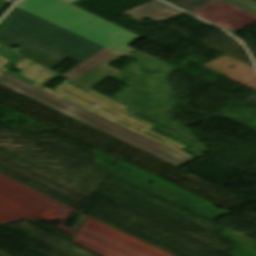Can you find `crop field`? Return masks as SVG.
<instances>
[{"label": "crop field", "mask_w": 256, "mask_h": 256, "mask_svg": "<svg viewBox=\"0 0 256 256\" xmlns=\"http://www.w3.org/2000/svg\"><path fill=\"white\" fill-rule=\"evenodd\" d=\"M9 14L12 17L0 36L58 63L68 57L82 63L64 77L92 89L119 72L107 65L120 55L17 7Z\"/></svg>", "instance_id": "8a807250"}, {"label": "crop field", "mask_w": 256, "mask_h": 256, "mask_svg": "<svg viewBox=\"0 0 256 256\" xmlns=\"http://www.w3.org/2000/svg\"><path fill=\"white\" fill-rule=\"evenodd\" d=\"M25 11L94 41L122 56L135 50L128 46L139 36L63 0H26Z\"/></svg>", "instance_id": "ac0d7876"}, {"label": "crop field", "mask_w": 256, "mask_h": 256, "mask_svg": "<svg viewBox=\"0 0 256 256\" xmlns=\"http://www.w3.org/2000/svg\"><path fill=\"white\" fill-rule=\"evenodd\" d=\"M4 72L0 71V76ZM3 77V76H2ZM0 84L38 102L52 107L66 115H69L81 122H84L98 130H101L113 137H116L130 145H133L159 159H162L174 166H177L189 159L172 152L158 144H155L141 136H138L124 128H121L109 121H106L92 113H89L75 105H72L58 97H55L41 89L16 79L8 74L0 79Z\"/></svg>", "instance_id": "34b2d1b8"}, {"label": "crop field", "mask_w": 256, "mask_h": 256, "mask_svg": "<svg viewBox=\"0 0 256 256\" xmlns=\"http://www.w3.org/2000/svg\"><path fill=\"white\" fill-rule=\"evenodd\" d=\"M227 30H239L256 22L249 14L221 0H165ZM230 25L229 28L221 24Z\"/></svg>", "instance_id": "412701ff"}, {"label": "crop field", "mask_w": 256, "mask_h": 256, "mask_svg": "<svg viewBox=\"0 0 256 256\" xmlns=\"http://www.w3.org/2000/svg\"><path fill=\"white\" fill-rule=\"evenodd\" d=\"M236 7L256 15V1L254 0H224Z\"/></svg>", "instance_id": "f4fd0767"}, {"label": "crop field", "mask_w": 256, "mask_h": 256, "mask_svg": "<svg viewBox=\"0 0 256 256\" xmlns=\"http://www.w3.org/2000/svg\"><path fill=\"white\" fill-rule=\"evenodd\" d=\"M7 0H0V9H2L3 7H5L6 5L2 4L3 2H5Z\"/></svg>", "instance_id": "dd49c442"}, {"label": "crop field", "mask_w": 256, "mask_h": 256, "mask_svg": "<svg viewBox=\"0 0 256 256\" xmlns=\"http://www.w3.org/2000/svg\"><path fill=\"white\" fill-rule=\"evenodd\" d=\"M23 1H24V0H22L21 2H19V4L17 5V7L22 8L23 5H20V4H21Z\"/></svg>", "instance_id": "e52e79f7"}, {"label": "crop field", "mask_w": 256, "mask_h": 256, "mask_svg": "<svg viewBox=\"0 0 256 256\" xmlns=\"http://www.w3.org/2000/svg\"><path fill=\"white\" fill-rule=\"evenodd\" d=\"M65 1H67V2L71 3V2H73V1H75V0H65Z\"/></svg>", "instance_id": "d8731c3e"}]
</instances>
